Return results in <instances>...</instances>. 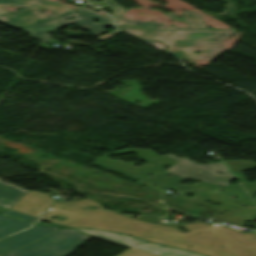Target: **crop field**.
<instances>
[{"label":"crop field","instance_id":"crop-field-4","mask_svg":"<svg viewBox=\"0 0 256 256\" xmlns=\"http://www.w3.org/2000/svg\"><path fill=\"white\" fill-rule=\"evenodd\" d=\"M168 157L179 162L173 165V168L171 167L172 169L166 172L180 175L182 178L206 181L223 186H226L235 179L221 162L214 163L218 165L214 166V164L205 165L196 163L186 157L179 159L171 154L168 155ZM217 171H222L225 175L221 173L218 175Z\"/></svg>","mask_w":256,"mask_h":256},{"label":"crop field","instance_id":"crop-field-6","mask_svg":"<svg viewBox=\"0 0 256 256\" xmlns=\"http://www.w3.org/2000/svg\"><path fill=\"white\" fill-rule=\"evenodd\" d=\"M78 231H82L91 235H95L104 239H108L117 243H121L131 247L132 249H136L142 252H146L149 254H153L156 256H204L197 253L186 252L179 249H174L150 242L139 241L133 237H130L125 234H118L112 232L98 231V230H81L76 229Z\"/></svg>","mask_w":256,"mask_h":256},{"label":"crop field","instance_id":"crop-field-11","mask_svg":"<svg viewBox=\"0 0 256 256\" xmlns=\"http://www.w3.org/2000/svg\"><path fill=\"white\" fill-rule=\"evenodd\" d=\"M234 175L237 177V179L240 181V183L244 186V188L247 190V192L252 197L254 193L256 192V182L248 183L246 182L244 176L241 174V172H233Z\"/></svg>","mask_w":256,"mask_h":256},{"label":"crop field","instance_id":"crop-field-8","mask_svg":"<svg viewBox=\"0 0 256 256\" xmlns=\"http://www.w3.org/2000/svg\"><path fill=\"white\" fill-rule=\"evenodd\" d=\"M26 191L0 181V206L9 209Z\"/></svg>","mask_w":256,"mask_h":256},{"label":"crop field","instance_id":"crop-field-14","mask_svg":"<svg viewBox=\"0 0 256 256\" xmlns=\"http://www.w3.org/2000/svg\"><path fill=\"white\" fill-rule=\"evenodd\" d=\"M119 32H121V31L115 30V31L109 32V33H107V34H105V35L99 37V39H100L101 41H104V40L110 38L111 36H113V35H115V34H117V33H119Z\"/></svg>","mask_w":256,"mask_h":256},{"label":"crop field","instance_id":"crop-field-15","mask_svg":"<svg viewBox=\"0 0 256 256\" xmlns=\"http://www.w3.org/2000/svg\"><path fill=\"white\" fill-rule=\"evenodd\" d=\"M4 210H7V209H4V208H1V207H0V212H2V211H4Z\"/></svg>","mask_w":256,"mask_h":256},{"label":"crop field","instance_id":"crop-field-5","mask_svg":"<svg viewBox=\"0 0 256 256\" xmlns=\"http://www.w3.org/2000/svg\"><path fill=\"white\" fill-rule=\"evenodd\" d=\"M70 17L74 19L70 21L65 20ZM93 21H94L93 19L75 11L71 14H68L62 17H57V18L36 24L34 26L28 27L23 31L31 35L32 37L36 38L38 41L42 43H47L49 41L56 42V40H54L51 36L47 35V33L50 31L55 32L58 28L71 23H74L79 27L89 31L91 34H93L96 37L107 32L103 28L108 26L102 23H95Z\"/></svg>","mask_w":256,"mask_h":256},{"label":"crop field","instance_id":"crop-field-3","mask_svg":"<svg viewBox=\"0 0 256 256\" xmlns=\"http://www.w3.org/2000/svg\"><path fill=\"white\" fill-rule=\"evenodd\" d=\"M13 4L17 7H25L26 9L10 13L0 7V20L9 23V26L23 29L33 24L57 17L66 12L74 11L73 9L57 2L48 0H0V5L7 6ZM47 8L57 14L53 16L43 15L38 8Z\"/></svg>","mask_w":256,"mask_h":256},{"label":"crop field","instance_id":"crop-field-10","mask_svg":"<svg viewBox=\"0 0 256 256\" xmlns=\"http://www.w3.org/2000/svg\"><path fill=\"white\" fill-rule=\"evenodd\" d=\"M231 171H243L256 167V163L252 161H224ZM240 168V170H237Z\"/></svg>","mask_w":256,"mask_h":256},{"label":"crop field","instance_id":"crop-field-12","mask_svg":"<svg viewBox=\"0 0 256 256\" xmlns=\"http://www.w3.org/2000/svg\"><path fill=\"white\" fill-rule=\"evenodd\" d=\"M78 11L86 14V15H89L97 20H100L108 25H112V21H111V18L109 16H106V15H102V14H98V13H95L89 9H86L84 7L78 9Z\"/></svg>","mask_w":256,"mask_h":256},{"label":"crop field","instance_id":"crop-field-13","mask_svg":"<svg viewBox=\"0 0 256 256\" xmlns=\"http://www.w3.org/2000/svg\"><path fill=\"white\" fill-rule=\"evenodd\" d=\"M0 214L20 218V219L30 221V222H33V223H35V221L37 220V218L31 217V216H28V215H25V214H22V213H19V212L11 211V210L4 211Z\"/></svg>","mask_w":256,"mask_h":256},{"label":"crop field","instance_id":"crop-field-2","mask_svg":"<svg viewBox=\"0 0 256 256\" xmlns=\"http://www.w3.org/2000/svg\"><path fill=\"white\" fill-rule=\"evenodd\" d=\"M91 238L75 230L62 229L29 246L2 256H67Z\"/></svg>","mask_w":256,"mask_h":256},{"label":"crop field","instance_id":"crop-field-9","mask_svg":"<svg viewBox=\"0 0 256 256\" xmlns=\"http://www.w3.org/2000/svg\"><path fill=\"white\" fill-rule=\"evenodd\" d=\"M32 224L33 223L0 215V238L18 230L28 228Z\"/></svg>","mask_w":256,"mask_h":256},{"label":"crop field","instance_id":"crop-field-7","mask_svg":"<svg viewBox=\"0 0 256 256\" xmlns=\"http://www.w3.org/2000/svg\"><path fill=\"white\" fill-rule=\"evenodd\" d=\"M60 228L34 226L26 231L8 237L0 241V254L27 245L28 243L39 239L49 233H52Z\"/></svg>","mask_w":256,"mask_h":256},{"label":"crop field","instance_id":"crop-field-1","mask_svg":"<svg viewBox=\"0 0 256 256\" xmlns=\"http://www.w3.org/2000/svg\"><path fill=\"white\" fill-rule=\"evenodd\" d=\"M102 2L114 10V18L116 24L124 23L156 30L206 29L199 14L195 12H184L182 17H175L169 13L166 14L167 17L171 20L185 21L189 28L163 27V24L153 21L140 22L136 20L121 18L124 8L116 5L113 0H103ZM117 27L118 29H121L141 40L148 42L161 41L169 45V47L165 50L180 59L190 60L206 58L209 62L226 51V49L219 41L237 31H152L125 25H119ZM194 50L201 51V53L194 54Z\"/></svg>","mask_w":256,"mask_h":256}]
</instances>
